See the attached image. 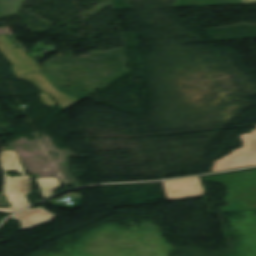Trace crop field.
Listing matches in <instances>:
<instances>
[{
	"instance_id": "1",
	"label": "crop field",
	"mask_w": 256,
	"mask_h": 256,
	"mask_svg": "<svg viewBox=\"0 0 256 256\" xmlns=\"http://www.w3.org/2000/svg\"><path fill=\"white\" fill-rule=\"evenodd\" d=\"M0 162L4 170L3 194L12 204L7 209L0 208V212H14L29 205L25 195L30 192V177L25 176L16 151H1ZM6 171H17L23 176L10 177Z\"/></svg>"
},
{
	"instance_id": "2",
	"label": "crop field",
	"mask_w": 256,
	"mask_h": 256,
	"mask_svg": "<svg viewBox=\"0 0 256 256\" xmlns=\"http://www.w3.org/2000/svg\"><path fill=\"white\" fill-rule=\"evenodd\" d=\"M15 45L4 35L0 37V51L12 63L15 76L38 70L32 57L26 55L22 49H12Z\"/></svg>"
},
{
	"instance_id": "3",
	"label": "crop field",
	"mask_w": 256,
	"mask_h": 256,
	"mask_svg": "<svg viewBox=\"0 0 256 256\" xmlns=\"http://www.w3.org/2000/svg\"><path fill=\"white\" fill-rule=\"evenodd\" d=\"M19 78L32 82L42 92L50 93L54 97V99L58 102L62 111H65L66 109L70 108L74 104L81 101L73 96H69V95H66V94L58 91L56 88H54L50 84L48 77H46L40 71L31 73V74H27V75L19 77Z\"/></svg>"
},
{
	"instance_id": "4",
	"label": "crop field",
	"mask_w": 256,
	"mask_h": 256,
	"mask_svg": "<svg viewBox=\"0 0 256 256\" xmlns=\"http://www.w3.org/2000/svg\"><path fill=\"white\" fill-rule=\"evenodd\" d=\"M56 217V215L52 214L51 212L38 207L29 209L24 211L14 217L12 219L18 220L22 223L21 231L37 227L43 224H46L51 221L52 218Z\"/></svg>"
},
{
	"instance_id": "5",
	"label": "crop field",
	"mask_w": 256,
	"mask_h": 256,
	"mask_svg": "<svg viewBox=\"0 0 256 256\" xmlns=\"http://www.w3.org/2000/svg\"><path fill=\"white\" fill-rule=\"evenodd\" d=\"M37 182L42 197H47L54 193V191L61 187V183L57 178H39L35 179Z\"/></svg>"
},
{
	"instance_id": "6",
	"label": "crop field",
	"mask_w": 256,
	"mask_h": 256,
	"mask_svg": "<svg viewBox=\"0 0 256 256\" xmlns=\"http://www.w3.org/2000/svg\"><path fill=\"white\" fill-rule=\"evenodd\" d=\"M68 197H70L73 200L75 205L63 206V205H60L59 203H55V204H51V205L58 206V207H64V208H67V209H70V210H74V209H76V208H78L82 205V199H81L80 195L71 194Z\"/></svg>"
},
{
	"instance_id": "7",
	"label": "crop field",
	"mask_w": 256,
	"mask_h": 256,
	"mask_svg": "<svg viewBox=\"0 0 256 256\" xmlns=\"http://www.w3.org/2000/svg\"><path fill=\"white\" fill-rule=\"evenodd\" d=\"M39 99L42 101L44 106H51V105H56L55 101L52 99V97L48 94L41 93L39 94Z\"/></svg>"
},
{
	"instance_id": "8",
	"label": "crop field",
	"mask_w": 256,
	"mask_h": 256,
	"mask_svg": "<svg viewBox=\"0 0 256 256\" xmlns=\"http://www.w3.org/2000/svg\"><path fill=\"white\" fill-rule=\"evenodd\" d=\"M243 2L245 3V5H248V4L256 3V0H243Z\"/></svg>"
}]
</instances>
